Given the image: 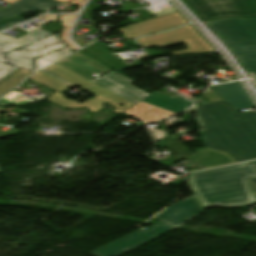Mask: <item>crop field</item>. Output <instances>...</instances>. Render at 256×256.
<instances>
[{"label": "crop field", "mask_w": 256, "mask_h": 256, "mask_svg": "<svg viewBox=\"0 0 256 256\" xmlns=\"http://www.w3.org/2000/svg\"><path fill=\"white\" fill-rule=\"evenodd\" d=\"M206 147L236 162L256 158V113L241 115L225 100L196 107Z\"/></svg>", "instance_id": "8a807250"}, {"label": "crop field", "mask_w": 256, "mask_h": 256, "mask_svg": "<svg viewBox=\"0 0 256 256\" xmlns=\"http://www.w3.org/2000/svg\"><path fill=\"white\" fill-rule=\"evenodd\" d=\"M251 178H256V166L249 162L192 174L187 182L203 209L212 206L230 208L256 204L248 181Z\"/></svg>", "instance_id": "ac0d7876"}, {"label": "crop field", "mask_w": 256, "mask_h": 256, "mask_svg": "<svg viewBox=\"0 0 256 256\" xmlns=\"http://www.w3.org/2000/svg\"><path fill=\"white\" fill-rule=\"evenodd\" d=\"M46 71L58 76L59 78L65 80L66 82L78 86L89 93L95 95L96 97L89 99L81 104L69 101L63 98V95L59 93L60 91L71 87V85L43 72L40 71L33 75L30 79L53 90H56L46 101L53 104H57L66 109L82 108L88 107L91 113L102 110V105L106 102L114 105L117 109L113 110L115 113H123L128 108L134 106L135 104L119 97L118 95L90 82L89 80L81 77L80 75L74 73L73 71L65 68L60 64H55L47 69ZM122 104H126L123 107H119Z\"/></svg>", "instance_id": "34b2d1b8"}, {"label": "crop field", "mask_w": 256, "mask_h": 256, "mask_svg": "<svg viewBox=\"0 0 256 256\" xmlns=\"http://www.w3.org/2000/svg\"><path fill=\"white\" fill-rule=\"evenodd\" d=\"M59 63L89 80L112 70L79 52ZM91 81L136 104L150 95L132 86L134 81L114 71Z\"/></svg>", "instance_id": "412701ff"}, {"label": "crop field", "mask_w": 256, "mask_h": 256, "mask_svg": "<svg viewBox=\"0 0 256 256\" xmlns=\"http://www.w3.org/2000/svg\"><path fill=\"white\" fill-rule=\"evenodd\" d=\"M246 69L256 74V20L222 19L208 24Z\"/></svg>", "instance_id": "f4fd0767"}, {"label": "crop field", "mask_w": 256, "mask_h": 256, "mask_svg": "<svg viewBox=\"0 0 256 256\" xmlns=\"http://www.w3.org/2000/svg\"><path fill=\"white\" fill-rule=\"evenodd\" d=\"M203 21L221 18L256 19V0H184Z\"/></svg>", "instance_id": "dd49c442"}, {"label": "crop field", "mask_w": 256, "mask_h": 256, "mask_svg": "<svg viewBox=\"0 0 256 256\" xmlns=\"http://www.w3.org/2000/svg\"><path fill=\"white\" fill-rule=\"evenodd\" d=\"M137 41L144 48L152 46L162 47L184 42L188 50L174 52L172 55L198 54L214 50L192 25H187L167 33L150 36Z\"/></svg>", "instance_id": "e52e79f7"}, {"label": "crop field", "mask_w": 256, "mask_h": 256, "mask_svg": "<svg viewBox=\"0 0 256 256\" xmlns=\"http://www.w3.org/2000/svg\"><path fill=\"white\" fill-rule=\"evenodd\" d=\"M61 29H63V27L55 21L43 28H40V29L34 31L33 33L19 39V40L31 43L33 45L19 49V51H22L24 53L30 54L35 57H39V56H43V55L57 49V48H61L65 45H67L63 40H61L60 38H57L58 34H55L41 42L38 41L44 37L51 35L48 32H57ZM71 50H72L71 48L67 47L59 52H53L45 57H42V59H46V60L55 62L65 56L71 54L72 53V52H70Z\"/></svg>", "instance_id": "d8731c3e"}, {"label": "crop field", "mask_w": 256, "mask_h": 256, "mask_svg": "<svg viewBox=\"0 0 256 256\" xmlns=\"http://www.w3.org/2000/svg\"><path fill=\"white\" fill-rule=\"evenodd\" d=\"M172 229L174 228L160 222L147 230H138L125 238L92 252L91 254L95 256H119L160 237V235Z\"/></svg>", "instance_id": "5a996713"}, {"label": "crop field", "mask_w": 256, "mask_h": 256, "mask_svg": "<svg viewBox=\"0 0 256 256\" xmlns=\"http://www.w3.org/2000/svg\"><path fill=\"white\" fill-rule=\"evenodd\" d=\"M27 45L31 44L0 34V61L12 66H20L34 71L53 63L15 51Z\"/></svg>", "instance_id": "3316defc"}, {"label": "crop field", "mask_w": 256, "mask_h": 256, "mask_svg": "<svg viewBox=\"0 0 256 256\" xmlns=\"http://www.w3.org/2000/svg\"><path fill=\"white\" fill-rule=\"evenodd\" d=\"M187 23L188 21L179 12H177L170 15L132 24L118 30L127 40H130L138 38L141 35H150L153 33L172 29Z\"/></svg>", "instance_id": "28ad6ade"}, {"label": "crop field", "mask_w": 256, "mask_h": 256, "mask_svg": "<svg viewBox=\"0 0 256 256\" xmlns=\"http://www.w3.org/2000/svg\"><path fill=\"white\" fill-rule=\"evenodd\" d=\"M202 212L203 209L194 196L169 207L153 218L176 228Z\"/></svg>", "instance_id": "d1516ede"}, {"label": "crop field", "mask_w": 256, "mask_h": 256, "mask_svg": "<svg viewBox=\"0 0 256 256\" xmlns=\"http://www.w3.org/2000/svg\"><path fill=\"white\" fill-rule=\"evenodd\" d=\"M212 88L237 110L255 107L240 82L216 85Z\"/></svg>", "instance_id": "22f410ed"}, {"label": "crop field", "mask_w": 256, "mask_h": 256, "mask_svg": "<svg viewBox=\"0 0 256 256\" xmlns=\"http://www.w3.org/2000/svg\"><path fill=\"white\" fill-rule=\"evenodd\" d=\"M63 3L56 0H18L0 11V20L17 16L22 12L48 10Z\"/></svg>", "instance_id": "cbeb9de0"}, {"label": "crop field", "mask_w": 256, "mask_h": 256, "mask_svg": "<svg viewBox=\"0 0 256 256\" xmlns=\"http://www.w3.org/2000/svg\"><path fill=\"white\" fill-rule=\"evenodd\" d=\"M185 160L206 168L235 163L226 153L217 152L208 148L198 151Z\"/></svg>", "instance_id": "5142ce71"}, {"label": "crop field", "mask_w": 256, "mask_h": 256, "mask_svg": "<svg viewBox=\"0 0 256 256\" xmlns=\"http://www.w3.org/2000/svg\"><path fill=\"white\" fill-rule=\"evenodd\" d=\"M143 102L173 111V112H181L192 105V103L186 101L184 98L177 97H167L158 93L152 94L147 97Z\"/></svg>", "instance_id": "d9b57169"}, {"label": "crop field", "mask_w": 256, "mask_h": 256, "mask_svg": "<svg viewBox=\"0 0 256 256\" xmlns=\"http://www.w3.org/2000/svg\"><path fill=\"white\" fill-rule=\"evenodd\" d=\"M156 145L161 147V148L166 146L177 154V155H175V156H173V157H171V158L162 162V163L167 164L169 166L176 163L177 161H179L183 158H186V157L194 154V153L190 152L189 150L185 149L184 146H182L181 144L172 140L169 136H167L164 139L157 142Z\"/></svg>", "instance_id": "733c2abd"}, {"label": "crop field", "mask_w": 256, "mask_h": 256, "mask_svg": "<svg viewBox=\"0 0 256 256\" xmlns=\"http://www.w3.org/2000/svg\"><path fill=\"white\" fill-rule=\"evenodd\" d=\"M27 70L19 68L17 71L9 75L7 78L0 82V97L19 84L26 76L31 74Z\"/></svg>", "instance_id": "4a817a6b"}, {"label": "crop field", "mask_w": 256, "mask_h": 256, "mask_svg": "<svg viewBox=\"0 0 256 256\" xmlns=\"http://www.w3.org/2000/svg\"><path fill=\"white\" fill-rule=\"evenodd\" d=\"M16 69H13V67L4 65L0 63V81L7 77L9 74L14 72Z\"/></svg>", "instance_id": "bc2a9ffb"}, {"label": "crop field", "mask_w": 256, "mask_h": 256, "mask_svg": "<svg viewBox=\"0 0 256 256\" xmlns=\"http://www.w3.org/2000/svg\"><path fill=\"white\" fill-rule=\"evenodd\" d=\"M24 20H26V19L21 18V19L14 20V21H10V22H8V23H5V24L0 25V32L3 31V30L8 29V28H10V27H13V26H15V25L21 23V22L24 21Z\"/></svg>", "instance_id": "214f88e0"}, {"label": "crop field", "mask_w": 256, "mask_h": 256, "mask_svg": "<svg viewBox=\"0 0 256 256\" xmlns=\"http://www.w3.org/2000/svg\"><path fill=\"white\" fill-rule=\"evenodd\" d=\"M250 182H251V185H252V189H253V191L256 195V179H252V180H250Z\"/></svg>", "instance_id": "92a150f3"}, {"label": "crop field", "mask_w": 256, "mask_h": 256, "mask_svg": "<svg viewBox=\"0 0 256 256\" xmlns=\"http://www.w3.org/2000/svg\"><path fill=\"white\" fill-rule=\"evenodd\" d=\"M4 1H6V2L12 4V3H13L14 1H16V0H4Z\"/></svg>", "instance_id": "dafd665d"}, {"label": "crop field", "mask_w": 256, "mask_h": 256, "mask_svg": "<svg viewBox=\"0 0 256 256\" xmlns=\"http://www.w3.org/2000/svg\"><path fill=\"white\" fill-rule=\"evenodd\" d=\"M61 1H65V2H68V1H71V0H61Z\"/></svg>", "instance_id": "00972430"}, {"label": "crop field", "mask_w": 256, "mask_h": 256, "mask_svg": "<svg viewBox=\"0 0 256 256\" xmlns=\"http://www.w3.org/2000/svg\"><path fill=\"white\" fill-rule=\"evenodd\" d=\"M3 171H2V169L0 168V173H2Z\"/></svg>", "instance_id": "a9b5d70f"}, {"label": "crop field", "mask_w": 256, "mask_h": 256, "mask_svg": "<svg viewBox=\"0 0 256 256\" xmlns=\"http://www.w3.org/2000/svg\"><path fill=\"white\" fill-rule=\"evenodd\" d=\"M256 165V161L253 162Z\"/></svg>", "instance_id": "4177f3b9"}]
</instances>
